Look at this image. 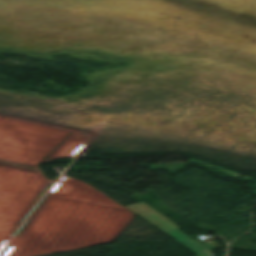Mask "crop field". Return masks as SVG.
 <instances>
[{
    "instance_id": "obj_1",
    "label": "crop field",
    "mask_w": 256,
    "mask_h": 256,
    "mask_svg": "<svg viewBox=\"0 0 256 256\" xmlns=\"http://www.w3.org/2000/svg\"><path fill=\"white\" fill-rule=\"evenodd\" d=\"M127 207L136 212L137 214H139L140 216H142L144 219H146L159 229H161L162 231L166 232L167 234L181 242L182 244H184L186 247H188L195 253L203 254L210 252L203 246H201L199 243H197L196 241L192 240L187 235L179 231V228L176 225H174L160 213L155 211L153 208L148 206L146 203L142 202Z\"/></svg>"
},
{
    "instance_id": "obj_2",
    "label": "crop field",
    "mask_w": 256,
    "mask_h": 256,
    "mask_svg": "<svg viewBox=\"0 0 256 256\" xmlns=\"http://www.w3.org/2000/svg\"><path fill=\"white\" fill-rule=\"evenodd\" d=\"M214 253H209V254H203V255H199V256H211L213 255Z\"/></svg>"
}]
</instances>
